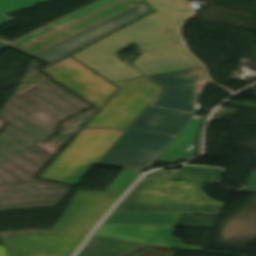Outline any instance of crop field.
Returning a JSON list of instances; mask_svg holds the SVG:
<instances>
[{"instance_id": "obj_7", "label": "crop field", "mask_w": 256, "mask_h": 256, "mask_svg": "<svg viewBox=\"0 0 256 256\" xmlns=\"http://www.w3.org/2000/svg\"><path fill=\"white\" fill-rule=\"evenodd\" d=\"M172 138V136L128 129L98 164L145 169L156 160Z\"/></svg>"}, {"instance_id": "obj_24", "label": "crop field", "mask_w": 256, "mask_h": 256, "mask_svg": "<svg viewBox=\"0 0 256 256\" xmlns=\"http://www.w3.org/2000/svg\"><path fill=\"white\" fill-rule=\"evenodd\" d=\"M77 256H81V255H77Z\"/></svg>"}, {"instance_id": "obj_23", "label": "crop field", "mask_w": 256, "mask_h": 256, "mask_svg": "<svg viewBox=\"0 0 256 256\" xmlns=\"http://www.w3.org/2000/svg\"><path fill=\"white\" fill-rule=\"evenodd\" d=\"M0 245H4L1 239H0Z\"/></svg>"}, {"instance_id": "obj_20", "label": "crop field", "mask_w": 256, "mask_h": 256, "mask_svg": "<svg viewBox=\"0 0 256 256\" xmlns=\"http://www.w3.org/2000/svg\"><path fill=\"white\" fill-rule=\"evenodd\" d=\"M0 256H7V252L4 246H0Z\"/></svg>"}, {"instance_id": "obj_21", "label": "crop field", "mask_w": 256, "mask_h": 256, "mask_svg": "<svg viewBox=\"0 0 256 256\" xmlns=\"http://www.w3.org/2000/svg\"><path fill=\"white\" fill-rule=\"evenodd\" d=\"M7 47H8V46H6V45L0 43V51L3 50V49H5V48H7Z\"/></svg>"}, {"instance_id": "obj_19", "label": "crop field", "mask_w": 256, "mask_h": 256, "mask_svg": "<svg viewBox=\"0 0 256 256\" xmlns=\"http://www.w3.org/2000/svg\"><path fill=\"white\" fill-rule=\"evenodd\" d=\"M13 19H15V18H11V17L0 15V25L4 24L6 22H9V21H11Z\"/></svg>"}, {"instance_id": "obj_11", "label": "crop field", "mask_w": 256, "mask_h": 256, "mask_svg": "<svg viewBox=\"0 0 256 256\" xmlns=\"http://www.w3.org/2000/svg\"><path fill=\"white\" fill-rule=\"evenodd\" d=\"M123 0H99L86 7H83L73 13H70L62 18H59L17 40H14L8 44L21 49L33 42H36L48 35H51L63 28H66L78 21H81L91 15H94L106 8H109Z\"/></svg>"}, {"instance_id": "obj_5", "label": "crop field", "mask_w": 256, "mask_h": 256, "mask_svg": "<svg viewBox=\"0 0 256 256\" xmlns=\"http://www.w3.org/2000/svg\"><path fill=\"white\" fill-rule=\"evenodd\" d=\"M127 129H83L39 177L78 185Z\"/></svg>"}, {"instance_id": "obj_13", "label": "crop field", "mask_w": 256, "mask_h": 256, "mask_svg": "<svg viewBox=\"0 0 256 256\" xmlns=\"http://www.w3.org/2000/svg\"><path fill=\"white\" fill-rule=\"evenodd\" d=\"M219 172L218 168L183 166L182 169L156 171L146 176L213 185L218 179Z\"/></svg>"}, {"instance_id": "obj_12", "label": "crop field", "mask_w": 256, "mask_h": 256, "mask_svg": "<svg viewBox=\"0 0 256 256\" xmlns=\"http://www.w3.org/2000/svg\"><path fill=\"white\" fill-rule=\"evenodd\" d=\"M202 120L192 118L181 130L174 141L166 149L158 161L175 163L180 159L190 160L194 158L190 151L199 131Z\"/></svg>"}, {"instance_id": "obj_18", "label": "crop field", "mask_w": 256, "mask_h": 256, "mask_svg": "<svg viewBox=\"0 0 256 256\" xmlns=\"http://www.w3.org/2000/svg\"><path fill=\"white\" fill-rule=\"evenodd\" d=\"M256 192V170H252L243 193Z\"/></svg>"}, {"instance_id": "obj_4", "label": "crop field", "mask_w": 256, "mask_h": 256, "mask_svg": "<svg viewBox=\"0 0 256 256\" xmlns=\"http://www.w3.org/2000/svg\"><path fill=\"white\" fill-rule=\"evenodd\" d=\"M223 205L202 185L143 177L115 210L217 215Z\"/></svg>"}, {"instance_id": "obj_10", "label": "crop field", "mask_w": 256, "mask_h": 256, "mask_svg": "<svg viewBox=\"0 0 256 256\" xmlns=\"http://www.w3.org/2000/svg\"><path fill=\"white\" fill-rule=\"evenodd\" d=\"M144 74H155L193 66H199L183 44L142 52L133 62Z\"/></svg>"}, {"instance_id": "obj_15", "label": "crop field", "mask_w": 256, "mask_h": 256, "mask_svg": "<svg viewBox=\"0 0 256 256\" xmlns=\"http://www.w3.org/2000/svg\"><path fill=\"white\" fill-rule=\"evenodd\" d=\"M146 245L92 237L79 254L90 256H128Z\"/></svg>"}, {"instance_id": "obj_17", "label": "crop field", "mask_w": 256, "mask_h": 256, "mask_svg": "<svg viewBox=\"0 0 256 256\" xmlns=\"http://www.w3.org/2000/svg\"><path fill=\"white\" fill-rule=\"evenodd\" d=\"M149 247H153V246H149ZM145 248L144 250L146 251H150V252H154V253H158V254H162V255H166V256H172L173 255V250H171L170 248H164V247H153V248H158V249H162V250H167V251H170V253L168 252H164V251H160V250H156V249H152V248ZM144 250L136 253V254H141V255H145V256H158V255H154V254H150V253H146V252H143ZM132 255V256H140V255Z\"/></svg>"}, {"instance_id": "obj_16", "label": "crop field", "mask_w": 256, "mask_h": 256, "mask_svg": "<svg viewBox=\"0 0 256 256\" xmlns=\"http://www.w3.org/2000/svg\"><path fill=\"white\" fill-rule=\"evenodd\" d=\"M50 0H0V13L8 15L20 8H29L39 2Z\"/></svg>"}, {"instance_id": "obj_2", "label": "crop field", "mask_w": 256, "mask_h": 256, "mask_svg": "<svg viewBox=\"0 0 256 256\" xmlns=\"http://www.w3.org/2000/svg\"><path fill=\"white\" fill-rule=\"evenodd\" d=\"M123 195L119 192L77 190L51 230L2 234L9 256H72L93 226Z\"/></svg>"}, {"instance_id": "obj_22", "label": "crop field", "mask_w": 256, "mask_h": 256, "mask_svg": "<svg viewBox=\"0 0 256 256\" xmlns=\"http://www.w3.org/2000/svg\"><path fill=\"white\" fill-rule=\"evenodd\" d=\"M9 232H16V231L0 232V234H2V233H9Z\"/></svg>"}, {"instance_id": "obj_8", "label": "crop field", "mask_w": 256, "mask_h": 256, "mask_svg": "<svg viewBox=\"0 0 256 256\" xmlns=\"http://www.w3.org/2000/svg\"><path fill=\"white\" fill-rule=\"evenodd\" d=\"M41 71L99 109L118 89L70 57Z\"/></svg>"}, {"instance_id": "obj_3", "label": "crop field", "mask_w": 256, "mask_h": 256, "mask_svg": "<svg viewBox=\"0 0 256 256\" xmlns=\"http://www.w3.org/2000/svg\"><path fill=\"white\" fill-rule=\"evenodd\" d=\"M150 78L166 90L130 128L176 136L195 113L198 93L208 81L206 74L200 67Z\"/></svg>"}, {"instance_id": "obj_1", "label": "crop field", "mask_w": 256, "mask_h": 256, "mask_svg": "<svg viewBox=\"0 0 256 256\" xmlns=\"http://www.w3.org/2000/svg\"><path fill=\"white\" fill-rule=\"evenodd\" d=\"M157 12L119 30L72 56L111 81L141 77L119 60L117 53L131 43L139 50L181 41L177 29L190 7L182 0H146Z\"/></svg>"}, {"instance_id": "obj_9", "label": "crop field", "mask_w": 256, "mask_h": 256, "mask_svg": "<svg viewBox=\"0 0 256 256\" xmlns=\"http://www.w3.org/2000/svg\"><path fill=\"white\" fill-rule=\"evenodd\" d=\"M174 226H113L100 225L94 236L136 242L147 245L203 250L185 245L173 238Z\"/></svg>"}, {"instance_id": "obj_14", "label": "crop field", "mask_w": 256, "mask_h": 256, "mask_svg": "<svg viewBox=\"0 0 256 256\" xmlns=\"http://www.w3.org/2000/svg\"><path fill=\"white\" fill-rule=\"evenodd\" d=\"M180 214L114 211L102 224L114 225H174ZM143 218V221H139Z\"/></svg>"}, {"instance_id": "obj_6", "label": "crop field", "mask_w": 256, "mask_h": 256, "mask_svg": "<svg viewBox=\"0 0 256 256\" xmlns=\"http://www.w3.org/2000/svg\"><path fill=\"white\" fill-rule=\"evenodd\" d=\"M115 84L121 89L86 127L127 128L162 90L160 86L145 77L115 82Z\"/></svg>"}]
</instances>
